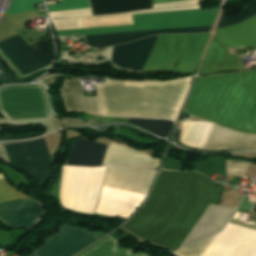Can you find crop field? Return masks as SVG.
<instances>
[{
  "instance_id": "14",
  "label": "crop field",
  "mask_w": 256,
  "mask_h": 256,
  "mask_svg": "<svg viewBox=\"0 0 256 256\" xmlns=\"http://www.w3.org/2000/svg\"><path fill=\"white\" fill-rule=\"evenodd\" d=\"M146 196L103 186L96 211L127 219Z\"/></svg>"
},
{
  "instance_id": "18",
  "label": "crop field",
  "mask_w": 256,
  "mask_h": 256,
  "mask_svg": "<svg viewBox=\"0 0 256 256\" xmlns=\"http://www.w3.org/2000/svg\"><path fill=\"white\" fill-rule=\"evenodd\" d=\"M216 36L227 48L256 47V16L239 25L217 30ZM235 49H229L230 53L234 55Z\"/></svg>"
},
{
  "instance_id": "31",
  "label": "crop field",
  "mask_w": 256,
  "mask_h": 256,
  "mask_svg": "<svg viewBox=\"0 0 256 256\" xmlns=\"http://www.w3.org/2000/svg\"><path fill=\"white\" fill-rule=\"evenodd\" d=\"M36 136H41L40 134H30L26 136H21V137H10L8 135H4L3 139H27L31 137H36Z\"/></svg>"
},
{
  "instance_id": "16",
  "label": "crop field",
  "mask_w": 256,
  "mask_h": 256,
  "mask_svg": "<svg viewBox=\"0 0 256 256\" xmlns=\"http://www.w3.org/2000/svg\"><path fill=\"white\" fill-rule=\"evenodd\" d=\"M228 71H241L240 57L230 55L225 46L213 36L200 75Z\"/></svg>"
},
{
  "instance_id": "17",
  "label": "crop field",
  "mask_w": 256,
  "mask_h": 256,
  "mask_svg": "<svg viewBox=\"0 0 256 256\" xmlns=\"http://www.w3.org/2000/svg\"><path fill=\"white\" fill-rule=\"evenodd\" d=\"M247 149L256 150V136L215 126L204 150Z\"/></svg>"
},
{
  "instance_id": "13",
  "label": "crop field",
  "mask_w": 256,
  "mask_h": 256,
  "mask_svg": "<svg viewBox=\"0 0 256 256\" xmlns=\"http://www.w3.org/2000/svg\"><path fill=\"white\" fill-rule=\"evenodd\" d=\"M155 173L154 170L115 164L109 166L103 185L146 195Z\"/></svg>"
},
{
  "instance_id": "24",
  "label": "crop field",
  "mask_w": 256,
  "mask_h": 256,
  "mask_svg": "<svg viewBox=\"0 0 256 256\" xmlns=\"http://www.w3.org/2000/svg\"><path fill=\"white\" fill-rule=\"evenodd\" d=\"M119 241L108 236L78 256H149L148 254H131V250L118 248Z\"/></svg>"
},
{
  "instance_id": "15",
  "label": "crop field",
  "mask_w": 256,
  "mask_h": 256,
  "mask_svg": "<svg viewBox=\"0 0 256 256\" xmlns=\"http://www.w3.org/2000/svg\"><path fill=\"white\" fill-rule=\"evenodd\" d=\"M234 210V208L209 205L180 248L222 230Z\"/></svg>"
},
{
  "instance_id": "29",
  "label": "crop field",
  "mask_w": 256,
  "mask_h": 256,
  "mask_svg": "<svg viewBox=\"0 0 256 256\" xmlns=\"http://www.w3.org/2000/svg\"><path fill=\"white\" fill-rule=\"evenodd\" d=\"M42 2V0H13L8 8L9 14H16L35 9L32 3Z\"/></svg>"
},
{
  "instance_id": "19",
  "label": "crop field",
  "mask_w": 256,
  "mask_h": 256,
  "mask_svg": "<svg viewBox=\"0 0 256 256\" xmlns=\"http://www.w3.org/2000/svg\"><path fill=\"white\" fill-rule=\"evenodd\" d=\"M106 145L79 139L72 142L69 165L100 166Z\"/></svg>"
},
{
  "instance_id": "10",
  "label": "crop field",
  "mask_w": 256,
  "mask_h": 256,
  "mask_svg": "<svg viewBox=\"0 0 256 256\" xmlns=\"http://www.w3.org/2000/svg\"><path fill=\"white\" fill-rule=\"evenodd\" d=\"M11 163L24 169L42 185L51 172V159L43 139L4 146Z\"/></svg>"
},
{
  "instance_id": "22",
  "label": "crop field",
  "mask_w": 256,
  "mask_h": 256,
  "mask_svg": "<svg viewBox=\"0 0 256 256\" xmlns=\"http://www.w3.org/2000/svg\"><path fill=\"white\" fill-rule=\"evenodd\" d=\"M112 163H127L131 165L158 166V160L122 146L109 143L103 165Z\"/></svg>"
},
{
  "instance_id": "8",
  "label": "crop field",
  "mask_w": 256,
  "mask_h": 256,
  "mask_svg": "<svg viewBox=\"0 0 256 256\" xmlns=\"http://www.w3.org/2000/svg\"><path fill=\"white\" fill-rule=\"evenodd\" d=\"M21 194L4 180H0V201ZM23 194L0 202V220L13 227H31L43 215L42 207Z\"/></svg>"
},
{
  "instance_id": "21",
  "label": "crop field",
  "mask_w": 256,
  "mask_h": 256,
  "mask_svg": "<svg viewBox=\"0 0 256 256\" xmlns=\"http://www.w3.org/2000/svg\"><path fill=\"white\" fill-rule=\"evenodd\" d=\"M62 96L67 112L85 110L99 115L96 97H83L78 79L66 80L62 88Z\"/></svg>"
},
{
  "instance_id": "28",
  "label": "crop field",
  "mask_w": 256,
  "mask_h": 256,
  "mask_svg": "<svg viewBox=\"0 0 256 256\" xmlns=\"http://www.w3.org/2000/svg\"><path fill=\"white\" fill-rule=\"evenodd\" d=\"M49 12L67 10V9H80L90 8L88 0H62L59 4L48 5Z\"/></svg>"
},
{
  "instance_id": "1",
  "label": "crop field",
  "mask_w": 256,
  "mask_h": 256,
  "mask_svg": "<svg viewBox=\"0 0 256 256\" xmlns=\"http://www.w3.org/2000/svg\"><path fill=\"white\" fill-rule=\"evenodd\" d=\"M154 192V191H153ZM219 191L197 174L160 173L155 192L124 227L145 239L177 250Z\"/></svg>"
},
{
  "instance_id": "4",
  "label": "crop field",
  "mask_w": 256,
  "mask_h": 256,
  "mask_svg": "<svg viewBox=\"0 0 256 256\" xmlns=\"http://www.w3.org/2000/svg\"><path fill=\"white\" fill-rule=\"evenodd\" d=\"M210 34L159 35L114 47L113 64L143 72L193 74Z\"/></svg>"
},
{
  "instance_id": "30",
  "label": "crop field",
  "mask_w": 256,
  "mask_h": 256,
  "mask_svg": "<svg viewBox=\"0 0 256 256\" xmlns=\"http://www.w3.org/2000/svg\"><path fill=\"white\" fill-rule=\"evenodd\" d=\"M249 164L241 161H227V174L243 176Z\"/></svg>"
},
{
  "instance_id": "9",
  "label": "crop field",
  "mask_w": 256,
  "mask_h": 256,
  "mask_svg": "<svg viewBox=\"0 0 256 256\" xmlns=\"http://www.w3.org/2000/svg\"><path fill=\"white\" fill-rule=\"evenodd\" d=\"M201 256H256V231L228 223Z\"/></svg>"
},
{
  "instance_id": "2",
  "label": "crop field",
  "mask_w": 256,
  "mask_h": 256,
  "mask_svg": "<svg viewBox=\"0 0 256 256\" xmlns=\"http://www.w3.org/2000/svg\"><path fill=\"white\" fill-rule=\"evenodd\" d=\"M183 112L256 134V70L198 78Z\"/></svg>"
},
{
  "instance_id": "25",
  "label": "crop field",
  "mask_w": 256,
  "mask_h": 256,
  "mask_svg": "<svg viewBox=\"0 0 256 256\" xmlns=\"http://www.w3.org/2000/svg\"><path fill=\"white\" fill-rule=\"evenodd\" d=\"M130 123L139 125L160 136H166L173 125V122L150 119H130Z\"/></svg>"
},
{
  "instance_id": "12",
  "label": "crop field",
  "mask_w": 256,
  "mask_h": 256,
  "mask_svg": "<svg viewBox=\"0 0 256 256\" xmlns=\"http://www.w3.org/2000/svg\"><path fill=\"white\" fill-rule=\"evenodd\" d=\"M97 238V233L63 225L58 233L47 238L45 245L30 256H71Z\"/></svg>"
},
{
  "instance_id": "27",
  "label": "crop field",
  "mask_w": 256,
  "mask_h": 256,
  "mask_svg": "<svg viewBox=\"0 0 256 256\" xmlns=\"http://www.w3.org/2000/svg\"><path fill=\"white\" fill-rule=\"evenodd\" d=\"M215 235L208 237L206 239H203L194 244H191V245L177 251L173 255H176V256H199Z\"/></svg>"
},
{
  "instance_id": "7",
  "label": "crop field",
  "mask_w": 256,
  "mask_h": 256,
  "mask_svg": "<svg viewBox=\"0 0 256 256\" xmlns=\"http://www.w3.org/2000/svg\"><path fill=\"white\" fill-rule=\"evenodd\" d=\"M0 112L7 119L51 117L44 87L9 86L0 89Z\"/></svg>"
},
{
  "instance_id": "11",
  "label": "crop field",
  "mask_w": 256,
  "mask_h": 256,
  "mask_svg": "<svg viewBox=\"0 0 256 256\" xmlns=\"http://www.w3.org/2000/svg\"><path fill=\"white\" fill-rule=\"evenodd\" d=\"M0 43L28 74L51 64L52 52L48 37L30 47L18 34Z\"/></svg>"
},
{
  "instance_id": "6",
  "label": "crop field",
  "mask_w": 256,
  "mask_h": 256,
  "mask_svg": "<svg viewBox=\"0 0 256 256\" xmlns=\"http://www.w3.org/2000/svg\"><path fill=\"white\" fill-rule=\"evenodd\" d=\"M106 167L64 166L60 199L63 206L93 214Z\"/></svg>"
},
{
  "instance_id": "26",
  "label": "crop field",
  "mask_w": 256,
  "mask_h": 256,
  "mask_svg": "<svg viewBox=\"0 0 256 256\" xmlns=\"http://www.w3.org/2000/svg\"><path fill=\"white\" fill-rule=\"evenodd\" d=\"M254 15H256V0H254L251 4H249L238 15H235L232 17H225L222 15L218 28L232 26V25L241 23L244 20H246Z\"/></svg>"
},
{
  "instance_id": "5",
  "label": "crop field",
  "mask_w": 256,
  "mask_h": 256,
  "mask_svg": "<svg viewBox=\"0 0 256 256\" xmlns=\"http://www.w3.org/2000/svg\"><path fill=\"white\" fill-rule=\"evenodd\" d=\"M219 8L160 12L133 15L134 25L57 31L58 36L84 33V35L141 31L171 27L212 25ZM212 26L171 28L141 32L85 36L92 47L125 43L160 33L210 32Z\"/></svg>"
},
{
  "instance_id": "32",
  "label": "crop field",
  "mask_w": 256,
  "mask_h": 256,
  "mask_svg": "<svg viewBox=\"0 0 256 256\" xmlns=\"http://www.w3.org/2000/svg\"><path fill=\"white\" fill-rule=\"evenodd\" d=\"M3 178H4V176L2 174H0V179H3Z\"/></svg>"
},
{
  "instance_id": "3",
  "label": "crop field",
  "mask_w": 256,
  "mask_h": 256,
  "mask_svg": "<svg viewBox=\"0 0 256 256\" xmlns=\"http://www.w3.org/2000/svg\"><path fill=\"white\" fill-rule=\"evenodd\" d=\"M192 77L168 82L98 84L102 115L176 120Z\"/></svg>"
},
{
  "instance_id": "23",
  "label": "crop field",
  "mask_w": 256,
  "mask_h": 256,
  "mask_svg": "<svg viewBox=\"0 0 256 256\" xmlns=\"http://www.w3.org/2000/svg\"><path fill=\"white\" fill-rule=\"evenodd\" d=\"M214 125L205 121H184L181 142L203 149Z\"/></svg>"
},
{
  "instance_id": "20",
  "label": "crop field",
  "mask_w": 256,
  "mask_h": 256,
  "mask_svg": "<svg viewBox=\"0 0 256 256\" xmlns=\"http://www.w3.org/2000/svg\"><path fill=\"white\" fill-rule=\"evenodd\" d=\"M180 0H153V4ZM93 15L115 14L127 11L152 9V0H90Z\"/></svg>"
}]
</instances>
